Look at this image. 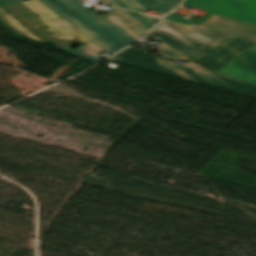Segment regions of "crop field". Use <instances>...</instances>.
<instances>
[{"mask_svg": "<svg viewBox=\"0 0 256 256\" xmlns=\"http://www.w3.org/2000/svg\"><path fill=\"white\" fill-rule=\"evenodd\" d=\"M80 1L0 0V22L19 37L56 46L54 49L92 65L100 61L93 56L111 55L137 41L112 18L100 19ZM71 40L88 44L70 51Z\"/></svg>", "mask_w": 256, "mask_h": 256, "instance_id": "crop-field-1", "label": "crop field"}, {"mask_svg": "<svg viewBox=\"0 0 256 256\" xmlns=\"http://www.w3.org/2000/svg\"><path fill=\"white\" fill-rule=\"evenodd\" d=\"M109 60L256 98V86L187 68L173 62L153 57L133 47L120 52Z\"/></svg>", "mask_w": 256, "mask_h": 256, "instance_id": "crop-field-2", "label": "crop field"}, {"mask_svg": "<svg viewBox=\"0 0 256 256\" xmlns=\"http://www.w3.org/2000/svg\"><path fill=\"white\" fill-rule=\"evenodd\" d=\"M253 44L254 42L231 37L217 49L209 47L187 65L215 73Z\"/></svg>", "mask_w": 256, "mask_h": 256, "instance_id": "crop-field-3", "label": "crop field"}, {"mask_svg": "<svg viewBox=\"0 0 256 256\" xmlns=\"http://www.w3.org/2000/svg\"><path fill=\"white\" fill-rule=\"evenodd\" d=\"M182 6L256 24V0H185Z\"/></svg>", "mask_w": 256, "mask_h": 256, "instance_id": "crop-field-4", "label": "crop field"}, {"mask_svg": "<svg viewBox=\"0 0 256 256\" xmlns=\"http://www.w3.org/2000/svg\"><path fill=\"white\" fill-rule=\"evenodd\" d=\"M153 31L206 45H211L213 47L219 46L230 37L166 20H162L161 23Z\"/></svg>", "mask_w": 256, "mask_h": 256, "instance_id": "crop-field-5", "label": "crop field"}, {"mask_svg": "<svg viewBox=\"0 0 256 256\" xmlns=\"http://www.w3.org/2000/svg\"><path fill=\"white\" fill-rule=\"evenodd\" d=\"M216 74L256 84V44L228 63Z\"/></svg>", "mask_w": 256, "mask_h": 256, "instance_id": "crop-field-6", "label": "crop field"}, {"mask_svg": "<svg viewBox=\"0 0 256 256\" xmlns=\"http://www.w3.org/2000/svg\"><path fill=\"white\" fill-rule=\"evenodd\" d=\"M200 28L256 42V26L213 16Z\"/></svg>", "mask_w": 256, "mask_h": 256, "instance_id": "crop-field-7", "label": "crop field"}, {"mask_svg": "<svg viewBox=\"0 0 256 256\" xmlns=\"http://www.w3.org/2000/svg\"><path fill=\"white\" fill-rule=\"evenodd\" d=\"M154 40L161 41L163 55L175 60L176 58L188 61L199 51H201L205 45L188 42L173 37L159 34Z\"/></svg>", "mask_w": 256, "mask_h": 256, "instance_id": "crop-field-8", "label": "crop field"}, {"mask_svg": "<svg viewBox=\"0 0 256 256\" xmlns=\"http://www.w3.org/2000/svg\"><path fill=\"white\" fill-rule=\"evenodd\" d=\"M107 13L115 17L139 39L142 38L158 20L157 18L132 13L115 7Z\"/></svg>", "mask_w": 256, "mask_h": 256, "instance_id": "crop-field-9", "label": "crop field"}, {"mask_svg": "<svg viewBox=\"0 0 256 256\" xmlns=\"http://www.w3.org/2000/svg\"><path fill=\"white\" fill-rule=\"evenodd\" d=\"M107 4L130 9L138 12H145L160 1L178 5L180 0H101Z\"/></svg>", "mask_w": 256, "mask_h": 256, "instance_id": "crop-field-10", "label": "crop field"}, {"mask_svg": "<svg viewBox=\"0 0 256 256\" xmlns=\"http://www.w3.org/2000/svg\"><path fill=\"white\" fill-rule=\"evenodd\" d=\"M175 7H176L175 5L160 2L157 5H155L154 7H152L150 10H153L157 13L165 14V13L169 12V10H172Z\"/></svg>", "mask_w": 256, "mask_h": 256, "instance_id": "crop-field-11", "label": "crop field"}, {"mask_svg": "<svg viewBox=\"0 0 256 256\" xmlns=\"http://www.w3.org/2000/svg\"><path fill=\"white\" fill-rule=\"evenodd\" d=\"M180 17H181V15L171 13V14H169V16L165 17V19L170 20V21H175V22L188 24V25L192 23L191 21L182 20Z\"/></svg>", "mask_w": 256, "mask_h": 256, "instance_id": "crop-field-12", "label": "crop field"}, {"mask_svg": "<svg viewBox=\"0 0 256 256\" xmlns=\"http://www.w3.org/2000/svg\"><path fill=\"white\" fill-rule=\"evenodd\" d=\"M211 16L213 15H210V14H206L204 15L203 17L199 18L198 20H196L195 22H193L192 24L193 25H201L203 22H205L207 19H209Z\"/></svg>", "mask_w": 256, "mask_h": 256, "instance_id": "crop-field-13", "label": "crop field"}]
</instances>
